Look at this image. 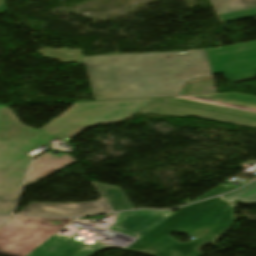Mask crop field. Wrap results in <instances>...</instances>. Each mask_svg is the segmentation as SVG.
Listing matches in <instances>:
<instances>
[{"mask_svg":"<svg viewBox=\"0 0 256 256\" xmlns=\"http://www.w3.org/2000/svg\"><path fill=\"white\" fill-rule=\"evenodd\" d=\"M214 75L231 83L256 78V41L219 50H207Z\"/></svg>","mask_w":256,"mask_h":256,"instance_id":"obj_7","label":"crop field"},{"mask_svg":"<svg viewBox=\"0 0 256 256\" xmlns=\"http://www.w3.org/2000/svg\"><path fill=\"white\" fill-rule=\"evenodd\" d=\"M229 195L181 208L138 240L127 251L149 256H191L194 252L193 246L200 242L220 222L225 212H228L220 225L195 246L196 253L193 256H202L203 254L198 249L216 242L236 222L234 212L232 213L235 205L223 199ZM174 231L183 232L197 238L189 243H178L168 236Z\"/></svg>","mask_w":256,"mask_h":256,"instance_id":"obj_3","label":"crop field"},{"mask_svg":"<svg viewBox=\"0 0 256 256\" xmlns=\"http://www.w3.org/2000/svg\"><path fill=\"white\" fill-rule=\"evenodd\" d=\"M109 247L100 243L85 246L70 237L55 234L27 256H92L99 249Z\"/></svg>","mask_w":256,"mask_h":256,"instance_id":"obj_9","label":"crop field"},{"mask_svg":"<svg viewBox=\"0 0 256 256\" xmlns=\"http://www.w3.org/2000/svg\"><path fill=\"white\" fill-rule=\"evenodd\" d=\"M12 217H0V227H2Z\"/></svg>","mask_w":256,"mask_h":256,"instance_id":"obj_14","label":"crop field"},{"mask_svg":"<svg viewBox=\"0 0 256 256\" xmlns=\"http://www.w3.org/2000/svg\"><path fill=\"white\" fill-rule=\"evenodd\" d=\"M91 183L103 200L78 204L30 203L18 214L84 216L133 209L120 188Z\"/></svg>","mask_w":256,"mask_h":256,"instance_id":"obj_6","label":"crop field"},{"mask_svg":"<svg viewBox=\"0 0 256 256\" xmlns=\"http://www.w3.org/2000/svg\"><path fill=\"white\" fill-rule=\"evenodd\" d=\"M5 6H4V0H0V13L4 12Z\"/></svg>","mask_w":256,"mask_h":256,"instance_id":"obj_15","label":"crop field"},{"mask_svg":"<svg viewBox=\"0 0 256 256\" xmlns=\"http://www.w3.org/2000/svg\"><path fill=\"white\" fill-rule=\"evenodd\" d=\"M139 112L196 116L256 128V97L237 93L155 98Z\"/></svg>","mask_w":256,"mask_h":256,"instance_id":"obj_4","label":"crop field"},{"mask_svg":"<svg viewBox=\"0 0 256 256\" xmlns=\"http://www.w3.org/2000/svg\"><path fill=\"white\" fill-rule=\"evenodd\" d=\"M234 189H236V188L233 187V186L228 188V187H226L224 185H220V186L216 187L215 189L209 191L208 193L204 194L203 196L199 197L196 200H200V199L216 196V195H219V194H223V193H225L227 191L234 190ZM196 200H194V201H196Z\"/></svg>","mask_w":256,"mask_h":256,"instance_id":"obj_13","label":"crop field"},{"mask_svg":"<svg viewBox=\"0 0 256 256\" xmlns=\"http://www.w3.org/2000/svg\"><path fill=\"white\" fill-rule=\"evenodd\" d=\"M222 21L256 16V0H212Z\"/></svg>","mask_w":256,"mask_h":256,"instance_id":"obj_11","label":"crop field"},{"mask_svg":"<svg viewBox=\"0 0 256 256\" xmlns=\"http://www.w3.org/2000/svg\"><path fill=\"white\" fill-rule=\"evenodd\" d=\"M49 220L63 221L59 225ZM72 218L13 217L0 228V255L26 256Z\"/></svg>","mask_w":256,"mask_h":256,"instance_id":"obj_5","label":"crop field"},{"mask_svg":"<svg viewBox=\"0 0 256 256\" xmlns=\"http://www.w3.org/2000/svg\"><path fill=\"white\" fill-rule=\"evenodd\" d=\"M153 99L76 103L42 129L20 124L9 107H0V214H11L30 164L28 152L89 127L119 123Z\"/></svg>","mask_w":256,"mask_h":256,"instance_id":"obj_1","label":"crop field"},{"mask_svg":"<svg viewBox=\"0 0 256 256\" xmlns=\"http://www.w3.org/2000/svg\"><path fill=\"white\" fill-rule=\"evenodd\" d=\"M84 59L95 100L177 95L183 81L211 74L205 50Z\"/></svg>","mask_w":256,"mask_h":256,"instance_id":"obj_2","label":"crop field"},{"mask_svg":"<svg viewBox=\"0 0 256 256\" xmlns=\"http://www.w3.org/2000/svg\"><path fill=\"white\" fill-rule=\"evenodd\" d=\"M172 214L170 211L125 212L118 215L116 224L110 229L141 238Z\"/></svg>","mask_w":256,"mask_h":256,"instance_id":"obj_8","label":"crop field"},{"mask_svg":"<svg viewBox=\"0 0 256 256\" xmlns=\"http://www.w3.org/2000/svg\"><path fill=\"white\" fill-rule=\"evenodd\" d=\"M75 162L77 161L66 155L58 157L49 153L42 154L35 158L24 186L49 176Z\"/></svg>","mask_w":256,"mask_h":256,"instance_id":"obj_10","label":"crop field"},{"mask_svg":"<svg viewBox=\"0 0 256 256\" xmlns=\"http://www.w3.org/2000/svg\"><path fill=\"white\" fill-rule=\"evenodd\" d=\"M225 199L231 202L238 199L239 201L246 204L256 203V184Z\"/></svg>","mask_w":256,"mask_h":256,"instance_id":"obj_12","label":"crop field"}]
</instances>
